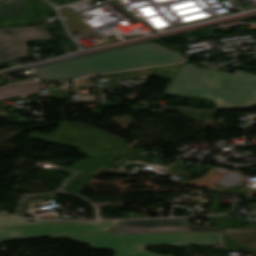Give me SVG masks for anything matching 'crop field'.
<instances>
[{
    "label": "crop field",
    "mask_w": 256,
    "mask_h": 256,
    "mask_svg": "<svg viewBox=\"0 0 256 256\" xmlns=\"http://www.w3.org/2000/svg\"><path fill=\"white\" fill-rule=\"evenodd\" d=\"M164 232H206L222 234L220 229L190 228L188 219L121 222L108 233L153 234Z\"/></svg>",
    "instance_id": "8"
},
{
    "label": "crop field",
    "mask_w": 256,
    "mask_h": 256,
    "mask_svg": "<svg viewBox=\"0 0 256 256\" xmlns=\"http://www.w3.org/2000/svg\"><path fill=\"white\" fill-rule=\"evenodd\" d=\"M68 238L77 242L90 245L91 249L122 250V235L118 234H87L63 237H51V239Z\"/></svg>",
    "instance_id": "9"
},
{
    "label": "crop field",
    "mask_w": 256,
    "mask_h": 256,
    "mask_svg": "<svg viewBox=\"0 0 256 256\" xmlns=\"http://www.w3.org/2000/svg\"><path fill=\"white\" fill-rule=\"evenodd\" d=\"M180 67L181 65L157 68L156 71L153 73V76L164 79H171Z\"/></svg>",
    "instance_id": "13"
},
{
    "label": "crop field",
    "mask_w": 256,
    "mask_h": 256,
    "mask_svg": "<svg viewBox=\"0 0 256 256\" xmlns=\"http://www.w3.org/2000/svg\"><path fill=\"white\" fill-rule=\"evenodd\" d=\"M2 1H5V0H0V2H2Z\"/></svg>",
    "instance_id": "18"
},
{
    "label": "crop field",
    "mask_w": 256,
    "mask_h": 256,
    "mask_svg": "<svg viewBox=\"0 0 256 256\" xmlns=\"http://www.w3.org/2000/svg\"><path fill=\"white\" fill-rule=\"evenodd\" d=\"M223 236H224V244H225V248L226 249H241V250H244V251L252 253V256H256V252L255 251L245 249V248L239 246L238 244L234 243L226 235H223Z\"/></svg>",
    "instance_id": "15"
},
{
    "label": "crop field",
    "mask_w": 256,
    "mask_h": 256,
    "mask_svg": "<svg viewBox=\"0 0 256 256\" xmlns=\"http://www.w3.org/2000/svg\"><path fill=\"white\" fill-rule=\"evenodd\" d=\"M215 102L217 108L251 106L256 103V75L234 71Z\"/></svg>",
    "instance_id": "7"
},
{
    "label": "crop field",
    "mask_w": 256,
    "mask_h": 256,
    "mask_svg": "<svg viewBox=\"0 0 256 256\" xmlns=\"http://www.w3.org/2000/svg\"><path fill=\"white\" fill-rule=\"evenodd\" d=\"M222 244L221 235L205 233H165L154 235H123V250L144 249V245L165 244L181 245H212Z\"/></svg>",
    "instance_id": "5"
},
{
    "label": "crop field",
    "mask_w": 256,
    "mask_h": 256,
    "mask_svg": "<svg viewBox=\"0 0 256 256\" xmlns=\"http://www.w3.org/2000/svg\"><path fill=\"white\" fill-rule=\"evenodd\" d=\"M27 0H18L0 7V15L2 18L19 13L23 10Z\"/></svg>",
    "instance_id": "12"
},
{
    "label": "crop field",
    "mask_w": 256,
    "mask_h": 256,
    "mask_svg": "<svg viewBox=\"0 0 256 256\" xmlns=\"http://www.w3.org/2000/svg\"><path fill=\"white\" fill-rule=\"evenodd\" d=\"M232 73L198 68L186 64L164 93L214 100L227 84Z\"/></svg>",
    "instance_id": "3"
},
{
    "label": "crop field",
    "mask_w": 256,
    "mask_h": 256,
    "mask_svg": "<svg viewBox=\"0 0 256 256\" xmlns=\"http://www.w3.org/2000/svg\"><path fill=\"white\" fill-rule=\"evenodd\" d=\"M116 224L118 223L88 222V223H71V224H59V225H45V226L29 227V228L6 229V230H0V242L7 241L9 239L106 232L108 229L112 228Z\"/></svg>",
    "instance_id": "4"
},
{
    "label": "crop field",
    "mask_w": 256,
    "mask_h": 256,
    "mask_svg": "<svg viewBox=\"0 0 256 256\" xmlns=\"http://www.w3.org/2000/svg\"><path fill=\"white\" fill-rule=\"evenodd\" d=\"M182 54L158 43L115 49L100 54L37 68L40 80L78 78L95 72L165 65L183 61Z\"/></svg>",
    "instance_id": "1"
},
{
    "label": "crop field",
    "mask_w": 256,
    "mask_h": 256,
    "mask_svg": "<svg viewBox=\"0 0 256 256\" xmlns=\"http://www.w3.org/2000/svg\"><path fill=\"white\" fill-rule=\"evenodd\" d=\"M52 39L42 26L0 29V63L29 56L26 40Z\"/></svg>",
    "instance_id": "6"
},
{
    "label": "crop field",
    "mask_w": 256,
    "mask_h": 256,
    "mask_svg": "<svg viewBox=\"0 0 256 256\" xmlns=\"http://www.w3.org/2000/svg\"><path fill=\"white\" fill-rule=\"evenodd\" d=\"M30 138L69 147L80 148L82 154L90 157H102L145 149H127L124 142L92 128L69 126L61 122L56 131L45 135L31 131Z\"/></svg>",
    "instance_id": "2"
},
{
    "label": "crop field",
    "mask_w": 256,
    "mask_h": 256,
    "mask_svg": "<svg viewBox=\"0 0 256 256\" xmlns=\"http://www.w3.org/2000/svg\"><path fill=\"white\" fill-rule=\"evenodd\" d=\"M208 219L214 223V228H220L215 217H208Z\"/></svg>",
    "instance_id": "17"
},
{
    "label": "crop field",
    "mask_w": 256,
    "mask_h": 256,
    "mask_svg": "<svg viewBox=\"0 0 256 256\" xmlns=\"http://www.w3.org/2000/svg\"><path fill=\"white\" fill-rule=\"evenodd\" d=\"M223 228H234L228 216L217 217Z\"/></svg>",
    "instance_id": "16"
},
{
    "label": "crop field",
    "mask_w": 256,
    "mask_h": 256,
    "mask_svg": "<svg viewBox=\"0 0 256 256\" xmlns=\"http://www.w3.org/2000/svg\"><path fill=\"white\" fill-rule=\"evenodd\" d=\"M224 232L243 246L256 250V230L224 229Z\"/></svg>",
    "instance_id": "10"
},
{
    "label": "crop field",
    "mask_w": 256,
    "mask_h": 256,
    "mask_svg": "<svg viewBox=\"0 0 256 256\" xmlns=\"http://www.w3.org/2000/svg\"><path fill=\"white\" fill-rule=\"evenodd\" d=\"M114 256H169L149 253L145 250H134V251H114Z\"/></svg>",
    "instance_id": "14"
},
{
    "label": "crop field",
    "mask_w": 256,
    "mask_h": 256,
    "mask_svg": "<svg viewBox=\"0 0 256 256\" xmlns=\"http://www.w3.org/2000/svg\"><path fill=\"white\" fill-rule=\"evenodd\" d=\"M57 222H34L29 223L28 220L10 218L6 216L0 215V228H8V227H18V226H28V225H36V224H50Z\"/></svg>",
    "instance_id": "11"
}]
</instances>
